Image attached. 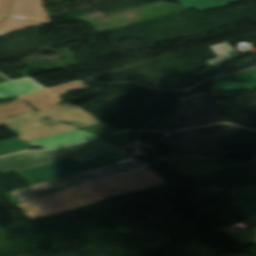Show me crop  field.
<instances>
[{
	"instance_id": "crop-field-24",
	"label": "crop field",
	"mask_w": 256,
	"mask_h": 256,
	"mask_svg": "<svg viewBox=\"0 0 256 256\" xmlns=\"http://www.w3.org/2000/svg\"><path fill=\"white\" fill-rule=\"evenodd\" d=\"M12 97L13 96H11L10 94H8L7 92H5L3 89L0 88V100H5Z\"/></svg>"
},
{
	"instance_id": "crop-field-22",
	"label": "crop field",
	"mask_w": 256,
	"mask_h": 256,
	"mask_svg": "<svg viewBox=\"0 0 256 256\" xmlns=\"http://www.w3.org/2000/svg\"><path fill=\"white\" fill-rule=\"evenodd\" d=\"M106 126L102 123H99V124H96V125H92V126H89V127H86V128H82V129H86V130H89V131H93V132H97V131H100L98 132L97 134L101 135V136H104V135H107L106 133L107 132H110V133H114L115 131L114 130H109L107 131L106 133L101 131L103 128H105Z\"/></svg>"
},
{
	"instance_id": "crop-field-4",
	"label": "crop field",
	"mask_w": 256,
	"mask_h": 256,
	"mask_svg": "<svg viewBox=\"0 0 256 256\" xmlns=\"http://www.w3.org/2000/svg\"><path fill=\"white\" fill-rule=\"evenodd\" d=\"M44 117L37 111L5 118L0 120V126L4 125L18 137L28 141L64 131L77 129L72 125L62 124L51 119L42 121Z\"/></svg>"
},
{
	"instance_id": "crop-field-7",
	"label": "crop field",
	"mask_w": 256,
	"mask_h": 256,
	"mask_svg": "<svg viewBox=\"0 0 256 256\" xmlns=\"http://www.w3.org/2000/svg\"><path fill=\"white\" fill-rule=\"evenodd\" d=\"M69 158L55 151H30L0 159V170L13 172L61 159Z\"/></svg>"
},
{
	"instance_id": "crop-field-3",
	"label": "crop field",
	"mask_w": 256,
	"mask_h": 256,
	"mask_svg": "<svg viewBox=\"0 0 256 256\" xmlns=\"http://www.w3.org/2000/svg\"><path fill=\"white\" fill-rule=\"evenodd\" d=\"M149 164L137 162L135 160H128L118 164L102 167L99 169L87 171L84 173L68 176L65 178L53 180L50 182L34 185L31 187L19 189L13 191L15 197L20 198L21 202L39 197L47 194L48 192L61 188L77 184H88L97 182L103 179L115 177L139 169L147 167Z\"/></svg>"
},
{
	"instance_id": "crop-field-15",
	"label": "crop field",
	"mask_w": 256,
	"mask_h": 256,
	"mask_svg": "<svg viewBox=\"0 0 256 256\" xmlns=\"http://www.w3.org/2000/svg\"><path fill=\"white\" fill-rule=\"evenodd\" d=\"M1 86L14 94L16 97L41 90L40 86L31 79L17 80L2 84Z\"/></svg>"
},
{
	"instance_id": "crop-field-19",
	"label": "crop field",
	"mask_w": 256,
	"mask_h": 256,
	"mask_svg": "<svg viewBox=\"0 0 256 256\" xmlns=\"http://www.w3.org/2000/svg\"><path fill=\"white\" fill-rule=\"evenodd\" d=\"M41 23L43 22L7 18L6 20L0 23V35L8 33L13 30L34 26Z\"/></svg>"
},
{
	"instance_id": "crop-field-9",
	"label": "crop field",
	"mask_w": 256,
	"mask_h": 256,
	"mask_svg": "<svg viewBox=\"0 0 256 256\" xmlns=\"http://www.w3.org/2000/svg\"><path fill=\"white\" fill-rule=\"evenodd\" d=\"M7 17L50 22L42 0H13Z\"/></svg>"
},
{
	"instance_id": "crop-field-10",
	"label": "crop field",
	"mask_w": 256,
	"mask_h": 256,
	"mask_svg": "<svg viewBox=\"0 0 256 256\" xmlns=\"http://www.w3.org/2000/svg\"><path fill=\"white\" fill-rule=\"evenodd\" d=\"M100 137L99 135L86 132L80 129L64 132L32 141H28L29 143L38 146L44 149H53L77 142H82L86 140H90L93 138Z\"/></svg>"
},
{
	"instance_id": "crop-field-5",
	"label": "crop field",
	"mask_w": 256,
	"mask_h": 256,
	"mask_svg": "<svg viewBox=\"0 0 256 256\" xmlns=\"http://www.w3.org/2000/svg\"><path fill=\"white\" fill-rule=\"evenodd\" d=\"M256 164L236 165L203 176L194 177L193 183L198 190L215 187L220 190H232L256 184Z\"/></svg>"
},
{
	"instance_id": "crop-field-23",
	"label": "crop field",
	"mask_w": 256,
	"mask_h": 256,
	"mask_svg": "<svg viewBox=\"0 0 256 256\" xmlns=\"http://www.w3.org/2000/svg\"><path fill=\"white\" fill-rule=\"evenodd\" d=\"M12 0H0V17H6Z\"/></svg>"
},
{
	"instance_id": "crop-field-17",
	"label": "crop field",
	"mask_w": 256,
	"mask_h": 256,
	"mask_svg": "<svg viewBox=\"0 0 256 256\" xmlns=\"http://www.w3.org/2000/svg\"><path fill=\"white\" fill-rule=\"evenodd\" d=\"M29 111H33V109L25 101L16 99L0 104V119Z\"/></svg>"
},
{
	"instance_id": "crop-field-8",
	"label": "crop field",
	"mask_w": 256,
	"mask_h": 256,
	"mask_svg": "<svg viewBox=\"0 0 256 256\" xmlns=\"http://www.w3.org/2000/svg\"><path fill=\"white\" fill-rule=\"evenodd\" d=\"M39 111L46 117L70 123L79 128L99 123L89 112L70 102L40 109Z\"/></svg>"
},
{
	"instance_id": "crop-field-21",
	"label": "crop field",
	"mask_w": 256,
	"mask_h": 256,
	"mask_svg": "<svg viewBox=\"0 0 256 256\" xmlns=\"http://www.w3.org/2000/svg\"><path fill=\"white\" fill-rule=\"evenodd\" d=\"M230 237L243 246H246L248 243L256 244V229L246 228L237 233L230 234Z\"/></svg>"
},
{
	"instance_id": "crop-field-14",
	"label": "crop field",
	"mask_w": 256,
	"mask_h": 256,
	"mask_svg": "<svg viewBox=\"0 0 256 256\" xmlns=\"http://www.w3.org/2000/svg\"><path fill=\"white\" fill-rule=\"evenodd\" d=\"M229 194L240 207L246 218L256 216V185L231 191Z\"/></svg>"
},
{
	"instance_id": "crop-field-2",
	"label": "crop field",
	"mask_w": 256,
	"mask_h": 256,
	"mask_svg": "<svg viewBox=\"0 0 256 256\" xmlns=\"http://www.w3.org/2000/svg\"><path fill=\"white\" fill-rule=\"evenodd\" d=\"M131 157L119 148L108 151L86 162L70 158L22 171H16L30 184H38L68 175L128 160Z\"/></svg>"
},
{
	"instance_id": "crop-field-1",
	"label": "crop field",
	"mask_w": 256,
	"mask_h": 256,
	"mask_svg": "<svg viewBox=\"0 0 256 256\" xmlns=\"http://www.w3.org/2000/svg\"><path fill=\"white\" fill-rule=\"evenodd\" d=\"M164 184L168 183L154 171L143 169L93 184L57 189L16 206L22 208L27 217H46L102 202L105 198L140 192Z\"/></svg>"
},
{
	"instance_id": "crop-field-26",
	"label": "crop field",
	"mask_w": 256,
	"mask_h": 256,
	"mask_svg": "<svg viewBox=\"0 0 256 256\" xmlns=\"http://www.w3.org/2000/svg\"><path fill=\"white\" fill-rule=\"evenodd\" d=\"M8 79L4 78L3 76L0 75V82H3V81H7Z\"/></svg>"
},
{
	"instance_id": "crop-field-18",
	"label": "crop field",
	"mask_w": 256,
	"mask_h": 256,
	"mask_svg": "<svg viewBox=\"0 0 256 256\" xmlns=\"http://www.w3.org/2000/svg\"><path fill=\"white\" fill-rule=\"evenodd\" d=\"M217 66L219 67V69L221 70L223 75H225L230 72H234V71H238V70L256 66V58L242 59V60H230V61L218 63Z\"/></svg>"
},
{
	"instance_id": "crop-field-12",
	"label": "crop field",
	"mask_w": 256,
	"mask_h": 256,
	"mask_svg": "<svg viewBox=\"0 0 256 256\" xmlns=\"http://www.w3.org/2000/svg\"><path fill=\"white\" fill-rule=\"evenodd\" d=\"M116 147L119 146L102 138L85 144L57 150V152L86 161Z\"/></svg>"
},
{
	"instance_id": "crop-field-16",
	"label": "crop field",
	"mask_w": 256,
	"mask_h": 256,
	"mask_svg": "<svg viewBox=\"0 0 256 256\" xmlns=\"http://www.w3.org/2000/svg\"><path fill=\"white\" fill-rule=\"evenodd\" d=\"M169 1V0H165ZM180 2L183 8L206 10L227 6L235 0H174Z\"/></svg>"
},
{
	"instance_id": "crop-field-6",
	"label": "crop field",
	"mask_w": 256,
	"mask_h": 256,
	"mask_svg": "<svg viewBox=\"0 0 256 256\" xmlns=\"http://www.w3.org/2000/svg\"><path fill=\"white\" fill-rule=\"evenodd\" d=\"M215 160L197 157H167L156 161L158 164L172 166L179 170L183 177H194L206 174L225 167L214 162ZM230 165L240 164L239 161L228 160ZM228 167V166H226Z\"/></svg>"
},
{
	"instance_id": "crop-field-27",
	"label": "crop field",
	"mask_w": 256,
	"mask_h": 256,
	"mask_svg": "<svg viewBox=\"0 0 256 256\" xmlns=\"http://www.w3.org/2000/svg\"><path fill=\"white\" fill-rule=\"evenodd\" d=\"M3 19H5V18H0V21L3 20Z\"/></svg>"
},
{
	"instance_id": "crop-field-11",
	"label": "crop field",
	"mask_w": 256,
	"mask_h": 256,
	"mask_svg": "<svg viewBox=\"0 0 256 256\" xmlns=\"http://www.w3.org/2000/svg\"><path fill=\"white\" fill-rule=\"evenodd\" d=\"M256 87V68L235 73L213 82L215 91L244 90Z\"/></svg>"
},
{
	"instance_id": "crop-field-25",
	"label": "crop field",
	"mask_w": 256,
	"mask_h": 256,
	"mask_svg": "<svg viewBox=\"0 0 256 256\" xmlns=\"http://www.w3.org/2000/svg\"><path fill=\"white\" fill-rule=\"evenodd\" d=\"M247 221H248L253 227H256V217L247 219Z\"/></svg>"
},
{
	"instance_id": "crop-field-13",
	"label": "crop field",
	"mask_w": 256,
	"mask_h": 256,
	"mask_svg": "<svg viewBox=\"0 0 256 256\" xmlns=\"http://www.w3.org/2000/svg\"><path fill=\"white\" fill-rule=\"evenodd\" d=\"M90 87L81 83H73L56 89L44 90L28 95L21 96L19 98L24 99L35 106L37 109L59 104L61 98L59 95L64 94L69 89H83Z\"/></svg>"
},
{
	"instance_id": "crop-field-20",
	"label": "crop field",
	"mask_w": 256,
	"mask_h": 256,
	"mask_svg": "<svg viewBox=\"0 0 256 256\" xmlns=\"http://www.w3.org/2000/svg\"><path fill=\"white\" fill-rule=\"evenodd\" d=\"M210 48L214 51V53L219 57L214 60L208 61V64H214L217 62L238 58L239 56L236 52L229 46L227 42L221 43L218 45L210 46ZM228 52H233L235 55L232 57Z\"/></svg>"
}]
</instances>
